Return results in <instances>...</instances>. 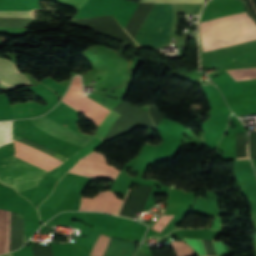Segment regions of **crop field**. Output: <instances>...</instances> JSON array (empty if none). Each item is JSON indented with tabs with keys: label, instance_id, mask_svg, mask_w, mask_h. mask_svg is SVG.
Segmentation results:
<instances>
[{
	"label": "crop field",
	"instance_id": "22f410ed",
	"mask_svg": "<svg viewBox=\"0 0 256 256\" xmlns=\"http://www.w3.org/2000/svg\"><path fill=\"white\" fill-rule=\"evenodd\" d=\"M109 240H110V237L100 234V236L91 252V256H102L107 247Z\"/></svg>",
	"mask_w": 256,
	"mask_h": 256
},
{
	"label": "crop field",
	"instance_id": "5a996713",
	"mask_svg": "<svg viewBox=\"0 0 256 256\" xmlns=\"http://www.w3.org/2000/svg\"><path fill=\"white\" fill-rule=\"evenodd\" d=\"M8 230H9V212L0 210V253L7 252Z\"/></svg>",
	"mask_w": 256,
	"mask_h": 256
},
{
	"label": "crop field",
	"instance_id": "28ad6ade",
	"mask_svg": "<svg viewBox=\"0 0 256 256\" xmlns=\"http://www.w3.org/2000/svg\"><path fill=\"white\" fill-rule=\"evenodd\" d=\"M12 142V121L0 122V146Z\"/></svg>",
	"mask_w": 256,
	"mask_h": 256
},
{
	"label": "crop field",
	"instance_id": "d9b57169",
	"mask_svg": "<svg viewBox=\"0 0 256 256\" xmlns=\"http://www.w3.org/2000/svg\"><path fill=\"white\" fill-rule=\"evenodd\" d=\"M172 216H161L158 221L153 225L152 229L160 232ZM163 230V229H162Z\"/></svg>",
	"mask_w": 256,
	"mask_h": 256
},
{
	"label": "crop field",
	"instance_id": "3316defc",
	"mask_svg": "<svg viewBox=\"0 0 256 256\" xmlns=\"http://www.w3.org/2000/svg\"><path fill=\"white\" fill-rule=\"evenodd\" d=\"M184 241L188 242L199 255L207 256L200 240L184 238ZM212 243L218 256H227L221 242L212 241Z\"/></svg>",
	"mask_w": 256,
	"mask_h": 256
},
{
	"label": "crop field",
	"instance_id": "d1516ede",
	"mask_svg": "<svg viewBox=\"0 0 256 256\" xmlns=\"http://www.w3.org/2000/svg\"><path fill=\"white\" fill-rule=\"evenodd\" d=\"M235 81L256 78V68L227 71Z\"/></svg>",
	"mask_w": 256,
	"mask_h": 256
},
{
	"label": "crop field",
	"instance_id": "4a817a6b",
	"mask_svg": "<svg viewBox=\"0 0 256 256\" xmlns=\"http://www.w3.org/2000/svg\"><path fill=\"white\" fill-rule=\"evenodd\" d=\"M0 16H22V17H33V11L29 12H0Z\"/></svg>",
	"mask_w": 256,
	"mask_h": 256
},
{
	"label": "crop field",
	"instance_id": "733c2abd",
	"mask_svg": "<svg viewBox=\"0 0 256 256\" xmlns=\"http://www.w3.org/2000/svg\"><path fill=\"white\" fill-rule=\"evenodd\" d=\"M84 160H91V161H97V162H101V163H105L106 164V158L97 152H93L90 155H88L87 157L83 158Z\"/></svg>",
	"mask_w": 256,
	"mask_h": 256
},
{
	"label": "crop field",
	"instance_id": "214f88e0",
	"mask_svg": "<svg viewBox=\"0 0 256 256\" xmlns=\"http://www.w3.org/2000/svg\"><path fill=\"white\" fill-rule=\"evenodd\" d=\"M11 256V255H10Z\"/></svg>",
	"mask_w": 256,
	"mask_h": 256
},
{
	"label": "crop field",
	"instance_id": "412701ff",
	"mask_svg": "<svg viewBox=\"0 0 256 256\" xmlns=\"http://www.w3.org/2000/svg\"><path fill=\"white\" fill-rule=\"evenodd\" d=\"M171 25L172 6L170 4L151 5L135 40L144 47L161 46L170 38Z\"/></svg>",
	"mask_w": 256,
	"mask_h": 256
},
{
	"label": "crop field",
	"instance_id": "f4fd0767",
	"mask_svg": "<svg viewBox=\"0 0 256 256\" xmlns=\"http://www.w3.org/2000/svg\"><path fill=\"white\" fill-rule=\"evenodd\" d=\"M47 171L15 156L0 160V182L18 193L36 187Z\"/></svg>",
	"mask_w": 256,
	"mask_h": 256
},
{
	"label": "crop field",
	"instance_id": "cbeb9de0",
	"mask_svg": "<svg viewBox=\"0 0 256 256\" xmlns=\"http://www.w3.org/2000/svg\"><path fill=\"white\" fill-rule=\"evenodd\" d=\"M205 0H141V2L155 3H203Z\"/></svg>",
	"mask_w": 256,
	"mask_h": 256
},
{
	"label": "crop field",
	"instance_id": "8a807250",
	"mask_svg": "<svg viewBox=\"0 0 256 256\" xmlns=\"http://www.w3.org/2000/svg\"><path fill=\"white\" fill-rule=\"evenodd\" d=\"M62 101L69 104L75 110L83 113L87 119L95 122L98 126L109 113L107 109L83 95L81 79L79 76L74 78L68 92L63 97ZM32 120L37 127L59 138L65 139L78 145L84 146L94 138V136H89L72 130L68 127H63L59 123L47 118L46 116L34 118Z\"/></svg>",
	"mask_w": 256,
	"mask_h": 256
},
{
	"label": "crop field",
	"instance_id": "dd49c442",
	"mask_svg": "<svg viewBox=\"0 0 256 256\" xmlns=\"http://www.w3.org/2000/svg\"><path fill=\"white\" fill-rule=\"evenodd\" d=\"M122 117L114 112H110L107 117L100 124L96 137L70 158L65 160V162L60 165L58 168L50 171L46 176L56 179H59L73 167V165L83 156L89 154L93 150L97 149L110 135L113 129L117 126V124L121 121Z\"/></svg>",
	"mask_w": 256,
	"mask_h": 256
},
{
	"label": "crop field",
	"instance_id": "5142ce71",
	"mask_svg": "<svg viewBox=\"0 0 256 256\" xmlns=\"http://www.w3.org/2000/svg\"><path fill=\"white\" fill-rule=\"evenodd\" d=\"M63 5L72 6L80 9L87 0H53Z\"/></svg>",
	"mask_w": 256,
	"mask_h": 256
},
{
	"label": "crop field",
	"instance_id": "e52e79f7",
	"mask_svg": "<svg viewBox=\"0 0 256 256\" xmlns=\"http://www.w3.org/2000/svg\"><path fill=\"white\" fill-rule=\"evenodd\" d=\"M15 156L38 165L48 171L63 161L14 140Z\"/></svg>",
	"mask_w": 256,
	"mask_h": 256
},
{
	"label": "crop field",
	"instance_id": "d8731c3e",
	"mask_svg": "<svg viewBox=\"0 0 256 256\" xmlns=\"http://www.w3.org/2000/svg\"><path fill=\"white\" fill-rule=\"evenodd\" d=\"M0 82L12 89L32 85L11 61L2 58H0Z\"/></svg>",
	"mask_w": 256,
	"mask_h": 256
},
{
	"label": "crop field",
	"instance_id": "ac0d7876",
	"mask_svg": "<svg viewBox=\"0 0 256 256\" xmlns=\"http://www.w3.org/2000/svg\"><path fill=\"white\" fill-rule=\"evenodd\" d=\"M204 52L256 39V25L246 12L204 22Z\"/></svg>",
	"mask_w": 256,
	"mask_h": 256
},
{
	"label": "crop field",
	"instance_id": "34b2d1b8",
	"mask_svg": "<svg viewBox=\"0 0 256 256\" xmlns=\"http://www.w3.org/2000/svg\"><path fill=\"white\" fill-rule=\"evenodd\" d=\"M69 172L114 180L120 171L110 165L80 160ZM121 203L122 200L117 198L114 193L104 191L98 193L95 198H82L80 210L117 214Z\"/></svg>",
	"mask_w": 256,
	"mask_h": 256
},
{
	"label": "crop field",
	"instance_id": "bc2a9ffb",
	"mask_svg": "<svg viewBox=\"0 0 256 256\" xmlns=\"http://www.w3.org/2000/svg\"><path fill=\"white\" fill-rule=\"evenodd\" d=\"M221 223L219 217L215 218V220L212 223L211 229L220 230Z\"/></svg>",
	"mask_w": 256,
	"mask_h": 256
}]
</instances>
